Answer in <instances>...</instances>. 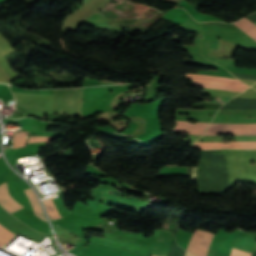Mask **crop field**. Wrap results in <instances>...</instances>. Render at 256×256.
I'll use <instances>...</instances> for the list:
<instances>
[{
    "label": "crop field",
    "instance_id": "crop-field-3",
    "mask_svg": "<svg viewBox=\"0 0 256 256\" xmlns=\"http://www.w3.org/2000/svg\"><path fill=\"white\" fill-rule=\"evenodd\" d=\"M213 234L201 230H195L187 251L196 256H206Z\"/></svg>",
    "mask_w": 256,
    "mask_h": 256
},
{
    "label": "crop field",
    "instance_id": "crop-field-8",
    "mask_svg": "<svg viewBox=\"0 0 256 256\" xmlns=\"http://www.w3.org/2000/svg\"><path fill=\"white\" fill-rule=\"evenodd\" d=\"M234 24H236L238 27H240L242 30H244L246 33L256 39V26L249 20L244 18L240 21L234 22Z\"/></svg>",
    "mask_w": 256,
    "mask_h": 256
},
{
    "label": "crop field",
    "instance_id": "crop-field-9",
    "mask_svg": "<svg viewBox=\"0 0 256 256\" xmlns=\"http://www.w3.org/2000/svg\"><path fill=\"white\" fill-rule=\"evenodd\" d=\"M44 206L46 208L47 213L50 215L51 219L54 220L56 218H60V214L55 206V204L52 202L51 197H47L46 200H44Z\"/></svg>",
    "mask_w": 256,
    "mask_h": 256
},
{
    "label": "crop field",
    "instance_id": "crop-field-12",
    "mask_svg": "<svg viewBox=\"0 0 256 256\" xmlns=\"http://www.w3.org/2000/svg\"><path fill=\"white\" fill-rule=\"evenodd\" d=\"M55 137H36V136H30V139L28 143H36V142H49Z\"/></svg>",
    "mask_w": 256,
    "mask_h": 256
},
{
    "label": "crop field",
    "instance_id": "crop-field-14",
    "mask_svg": "<svg viewBox=\"0 0 256 256\" xmlns=\"http://www.w3.org/2000/svg\"><path fill=\"white\" fill-rule=\"evenodd\" d=\"M185 256H193V255H191V254H189V253L186 252V253H185Z\"/></svg>",
    "mask_w": 256,
    "mask_h": 256
},
{
    "label": "crop field",
    "instance_id": "crop-field-16",
    "mask_svg": "<svg viewBox=\"0 0 256 256\" xmlns=\"http://www.w3.org/2000/svg\"><path fill=\"white\" fill-rule=\"evenodd\" d=\"M256 24V23H255Z\"/></svg>",
    "mask_w": 256,
    "mask_h": 256
},
{
    "label": "crop field",
    "instance_id": "crop-field-5",
    "mask_svg": "<svg viewBox=\"0 0 256 256\" xmlns=\"http://www.w3.org/2000/svg\"><path fill=\"white\" fill-rule=\"evenodd\" d=\"M208 123L197 122L196 124H191L186 121H176V126L173 127V131L176 134L188 133V134H203L204 129Z\"/></svg>",
    "mask_w": 256,
    "mask_h": 256
},
{
    "label": "crop field",
    "instance_id": "crop-field-4",
    "mask_svg": "<svg viewBox=\"0 0 256 256\" xmlns=\"http://www.w3.org/2000/svg\"><path fill=\"white\" fill-rule=\"evenodd\" d=\"M193 148L214 149V148H256V142H231L222 144L221 142H196Z\"/></svg>",
    "mask_w": 256,
    "mask_h": 256
},
{
    "label": "crop field",
    "instance_id": "crop-field-7",
    "mask_svg": "<svg viewBox=\"0 0 256 256\" xmlns=\"http://www.w3.org/2000/svg\"><path fill=\"white\" fill-rule=\"evenodd\" d=\"M25 193L33 207V210H34L36 216L45 221L41 206H40L39 201H38L36 195L34 194V192L31 190V188H29V189L25 190Z\"/></svg>",
    "mask_w": 256,
    "mask_h": 256
},
{
    "label": "crop field",
    "instance_id": "crop-field-15",
    "mask_svg": "<svg viewBox=\"0 0 256 256\" xmlns=\"http://www.w3.org/2000/svg\"><path fill=\"white\" fill-rule=\"evenodd\" d=\"M0 246H1V247H3V246H4V244L0 243Z\"/></svg>",
    "mask_w": 256,
    "mask_h": 256
},
{
    "label": "crop field",
    "instance_id": "crop-field-11",
    "mask_svg": "<svg viewBox=\"0 0 256 256\" xmlns=\"http://www.w3.org/2000/svg\"><path fill=\"white\" fill-rule=\"evenodd\" d=\"M15 234L7 230L5 227L0 225V241L7 243Z\"/></svg>",
    "mask_w": 256,
    "mask_h": 256
},
{
    "label": "crop field",
    "instance_id": "crop-field-2",
    "mask_svg": "<svg viewBox=\"0 0 256 256\" xmlns=\"http://www.w3.org/2000/svg\"><path fill=\"white\" fill-rule=\"evenodd\" d=\"M256 135V124L210 123L204 135Z\"/></svg>",
    "mask_w": 256,
    "mask_h": 256
},
{
    "label": "crop field",
    "instance_id": "crop-field-6",
    "mask_svg": "<svg viewBox=\"0 0 256 256\" xmlns=\"http://www.w3.org/2000/svg\"><path fill=\"white\" fill-rule=\"evenodd\" d=\"M0 204L11 213L24 208L10 196L5 182L0 184Z\"/></svg>",
    "mask_w": 256,
    "mask_h": 256
},
{
    "label": "crop field",
    "instance_id": "crop-field-1",
    "mask_svg": "<svg viewBox=\"0 0 256 256\" xmlns=\"http://www.w3.org/2000/svg\"><path fill=\"white\" fill-rule=\"evenodd\" d=\"M82 101V89L55 90L53 113L79 115Z\"/></svg>",
    "mask_w": 256,
    "mask_h": 256
},
{
    "label": "crop field",
    "instance_id": "crop-field-10",
    "mask_svg": "<svg viewBox=\"0 0 256 256\" xmlns=\"http://www.w3.org/2000/svg\"><path fill=\"white\" fill-rule=\"evenodd\" d=\"M21 132V131H19ZM25 132L14 134L13 136V148L24 146L26 143L27 136H24ZM12 148V149H13Z\"/></svg>",
    "mask_w": 256,
    "mask_h": 256
},
{
    "label": "crop field",
    "instance_id": "crop-field-13",
    "mask_svg": "<svg viewBox=\"0 0 256 256\" xmlns=\"http://www.w3.org/2000/svg\"><path fill=\"white\" fill-rule=\"evenodd\" d=\"M250 253H246L240 250H236L232 248L231 255L230 256H250Z\"/></svg>",
    "mask_w": 256,
    "mask_h": 256
}]
</instances>
